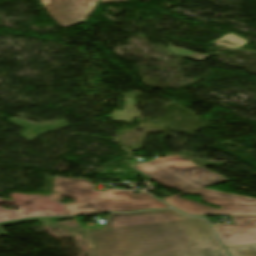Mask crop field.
I'll return each mask as SVG.
<instances>
[{"instance_id": "obj_11", "label": "crop field", "mask_w": 256, "mask_h": 256, "mask_svg": "<svg viewBox=\"0 0 256 256\" xmlns=\"http://www.w3.org/2000/svg\"><path fill=\"white\" fill-rule=\"evenodd\" d=\"M66 219H73V217L31 218V219L13 221V222H8V223H2V224H0V235L6 234L1 228V226H5V225L17 224V223H22V222H27V221H32V220H36L42 224L49 225V224L57 222V220H66Z\"/></svg>"}, {"instance_id": "obj_1", "label": "crop field", "mask_w": 256, "mask_h": 256, "mask_svg": "<svg viewBox=\"0 0 256 256\" xmlns=\"http://www.w3.org/2000/svg\"><path fill=\"white\" fill-rule=\"evenodd\" d=\"M86 232L90 256H136L220 246L206 220L174 210L110 213L102 231Z\"/></svg>"}, {"instance_id": "obj_14", "label": "crop field", "mask_w": 256, "mask_h": 256, "mask_svg": "<svg viewBox=\"0 0 256 256\" xmlns=\"http://www.w3.org/2000/svg\"><path fill=\"white\" fill-rule=\"evenodd\" d=\"M176 209V208H175ZM178 210V209H177ZM180 211V210H179ZM182 212V211H181ZM201 217H204V218H206L205 216H201Z\"/></svg>"}, {"instance_id": "obj_5", "label": "crop field", "mask_w": 256, "mask_h": 256, "mask_svg": "<svg viewBox=\"0 0 256 256\" xmlns=\"http://www.w3.org/2000/svg\"><path fill=\"white\" fill-rule=\"evenodd\" d=\"M50 15L63 28L87 20L98 0H42ZM127 0H100L101 3Z\"/></svg>"}, {"instance_id": "obj_4", "label": "crop field", "mask_w": 256, "mask_h": 256, "mask_svg": "<svg viewBox=\"0 0 256 256\" xmlns=\"http://www.w3.org/2000/svg\"><path fill=\"white\" fill-rule=\"evenodd\" d=\"M183 194H200L203 200L217 204L221 208H213L193 200L179 197V195ZM179 195L162 199L187 214L192 215H256V199L254 198L206 188Z\"/></svg>"}, {"instance_id": "obj_8", "label": "crop field", "mask_w": 256, "mask_h": 256, "mask_svg": "<svg viewBox=\"0 0 256 256\" xmlns=\"http://www.w3.org/2000/svg\"><path fill=\"white\" fill-rule=\"evenodd\" d=\"M51 215L50 213H26L24 211H11L0 207V221L18 219L30 216Z\"/></svg>"}, {"instance_id": "obj_6", "label": "crop field", "mask_w": 256, "mask_h": 256, "mask_svg": "<svg viewBox=\"0 0 256 256\" xmlns=\"http://www.w3.org/2000/svg\"><path fill=\"white\" fill-rule=\"evenodd\" d=\"M231 217L234 224L214 227L224 246L255 244L256 216Z\"/></svg>"}, {"instance_id": "obj_13", "label": "crop field", "mask_w": 256, "mask_h": 256, "mask_svg": "<svg viewBox=\"0 0 256 256\" xmlns=\"http://www.w3.org/2000/svg\"><path fill=\"white\" fill-rule=\"evenodd\" d=\"M140 176H142L143 178V180H147V181H149V177L148 176H146V175H144L143 173H141V172H139V171H136Z\"/></svg>"}, {"instance_id": "obj_12", "label": "crop field", "mask_w": 256, "mask_h": 256, "mask_svg": "<svg viewBox=\"0 0 256 256\" xmlns=\"http://www.w3.org/2000/svg\"><path fill=\"white\" fill-rule=\"evenodd\" d=\"M169 50L172 51V52L180 53L182 55H186V56H189V57L197 58L199 60L209 56V55H200V54L193 53V52H190V51H187V50H183V49H180V48H177V47H173V46H170Z\"/></svg>"}, {"instance_id": "obj_2", "label": "crop field", "mask_w": 256, "mask_h": 256, "mask_svg": "<svg viewBox=\"0 0 256 256\" xmlns=\"http://www.w3.org/2000/svg\"><path fill=\"white\" fill-rule=\"evenodd\" d=\"M93 188L94 184L88 180L55 177L53 192L58 194L53 195V199L66 196L75 201L65 204L66 215L168 207L145 192L133 195L134 191L103 192L93 191Z\"/></svg>"}, {"instance_id": "obj_9", "label": "crop field", "mask_w": 256, "mask_h": 256, "mask_svg": "<svg viewBox=\"0 0 256 256\" xmlns=\"http://www.w3.org/2000/svg\"><path fill=\"white\" fill-rule=\"evenodd\" d=\"M225 36V35H224ZM247 43V40L238 37L232 33H229L225 37L213 42L212 44L225 46V47H231L237 49L241 45Z\"/></svg>"}, {"instance_id": "obj_7", "label": "crop field", "mask_w": 256, "mask_h": 256, "mask_svg": "<svg viewBox=\"0 0 256 256\" xmlns=\"http://www.w3.org/2000/svg\"><path fill=\"white\" fill-rule=\"evenodd\" d=\"M144 256H228L223 247L176 251Z\"/></svg>"}, {"instance_id": "obj_10", "label": "crop field", "mask_w": 256, "mask_h": 256, "mask_svg": "<svg viewBox=\"0 0 256 256\" xmlns=\"http://www.w3.org/2000/svg\"><path fill=\"white\" fill-rule=\"evenodd\" d=\"M227 248L232 256H256V244L231 246Z\"/></svg>"}, {"instance_id": "obj_3", "label": "crop field", "mask_w": 256, "mask_h": 256, "mask_svg": "<svg viewBox=\"0 0 256 256\" xmlns=\"http://www.w3.org/2000/svg\"><path fill=\"white\" fill-rule=\"evenodd\" d=\"M135 168L150 175L154 181L182 192L229 181L178 156L158 158Z\"/></svg>"}]
</instances>
